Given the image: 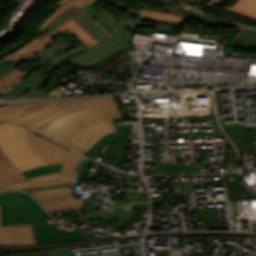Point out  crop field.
I'll use <instances>...</instances> for the list:
<instances>
[{"instance_id": "8a807250", "label": "crop field", "mask_w": 256, "mask_h": 256, "mask_svg": "<svg viewBox=\"0 0 256 256\" xmlns=\"http://www.w3.org/2000/svg\"><path fill=\"white\" fill-rule=\"evenodd\" d=\"M29 140L47 164L64 163L61 172L29 178V181L4 184L23 190L47 185L73 183L74 169L82 155L64 148L38 134L27 130Z\"/></svg>"}, {"instance_id": "ac0d7876", "label": "crop field", "mask_w": 256, "mask_h": 256, "mask_svg": "<svg viewBox=\"0 0 256 256\" xmlns=\"http://www.w3.org/2000/svg\"><path fill=\"white\" fill-rule=\"evenodd\" d=\"M0 146L21 172L46 165L30 144L26 129L21 126L0 123Z\"/></svg>"}, {"instance_id": "34b2d1b8", "label": "crop field", "mask_w": 256, "mask_h": 256, "mask_svg": "<svg viewBox=\"0 0 256 256\" xmlns=\"http://www.w3.org/2000/svg\"><path fill=\"white\" fill-rule=\"evenodd\" d=\"M23 192L0 193V196L21 195ZM2 204V226L46 222L50 216L35 199L0 201Z\"/></svg>"}, {"instance_id": "412701ff", "label": "crop field", "mask_w": 256, "mask_h": 256, "mask_svg": "<svg viewBox=\"0 0 256 256\" xmlns=\"http://www.w3.org/2000/svg\"><path fill=\"white\" fill-rule=\"evenodd\" d=\"M56 106L59 109V113L33 125L28 128L49 137L77 152L80 153V150L62 142L51 134L59 130L64 125L80 118L86 116L82 109L87 108L86 104L82 99L79 100H66V101H55Z\"/></svg>"}, {"instance_id": "f4fd0767", "label": "crop field", "mask_w": 256, "mask_h": 256, "mask_svg": "<svg viewBox=\"0 0 256 256\" xmlns=\"http://www.w3.org/2000/svg\"><path fill=\"white\" fill-rule=\"evenodd\" d=\"M89 108L84 109L88 116L83 117L52 134L65 141L78 129L94 122L95 124L113 117L122 116L113 97L83 99Z\"/></svg>"}, {"instance_id": "dd49c442", "label": "crop field", "mask_w": 256, "mask_h": 256, "mask_svg": "<svg viewBox=\"0 0 256 256\" xmlns=\"http://www.w3.org/2000/svg\"><path fill=\"white\" fill-rule=\"evenodd\" d=\"M70 18L79 23L97 40L98 43L110 39V37L92 20L94 19L93 17L75 5L54 18L38 35V37L41 39L46 37L56 27Z\"/></svg>"}, {"instance_id": "e52e79f7", "label": "crop field", "mask_w": 256, "mask_h": 256, "mask_svg": "<svg viewBox=\"0 0 256 256\" xmlns=\"http://www.w3.org/2000/svg\"><path fill=\"white\" fill-rule=\"evenodd\" d=\"M48 212L83 209L84 200L74 199L72 187L30 192Z\"/></svg>"}, {"instance_id": "d8731c3e", "label": "crop field", "mask_w": 256, "mask_h": 256, "mask_svg": "<svg viewBox=\"0 0 256 256\" xmlns=\"http://www.w3.org/2000/svg\"><path fill=\"white\" fill-rule=\"evenodd\" d=\"M125 48H129V41L127 35L116 37L92 46L89 48V51L66 63L91 67L93 64L99 62L103 58Z\"/></svg>"}, {"instance_id": "5a996713", "label": "crop field", "mask_w": 256, "mask_h": 256, "mask_svg": "<svg viewBox=\"0 0 256 256\" xmlns=\"http://www.w3.org/2000/svg\"><path fill=\"white\" fill-rule=\"evenodd\" d=\"M127 118H138V116H127L109 119L103 121L97 125L94 123L78 130L65 142L81 149V154L88 150L96 141H98L103 135L108 132L115 131V127L112 121L127 119Z\"/></svg>"}, {"instance_id": "3316defc", "label": "crop field", "mask_w": 256, "mask_h": 256, "mask_svg": "<svg viewBox=\"0 0 256 256\" xmlns=\"http://www.w3.org/2000/svg\"><path fill=\"white\" fill-rule=\"evenodd\" d=\"M54 109H56L54 101L1 106L0 120L19 124ZM22 114H25V117H22Z\"/></svg>"}, {"instance_id": "28ad6ade", "label": "crop field", "mask_w": 256, "mask_h": 256, "mask_svg": "<svg viewBox=\"0 0 256 256\" xmlns=\"http://www.w3.org/2000/svg\"><path fill=\"white\" fill-rule=\"evenodd\" d=\"M40 243H62L70 241L87 240L88 237L79 232L80 229L56 231L55 224H34ZM90 239V238H89Z\"/></svg>"}, {"instance_id": "d1516ede", "label": "crop field", "mask_w": 256, "mask_h": 256, "mask_svg": "<svg viewBox=\"0 0 256 256\" xmlns=\"http://www.w3.org/2000/svg\"><path fill=\"white\" fill-rule=\"evenodd\" d=\"M0 244L36 245L31 225L0 227Z\"/></svg>"}, {"instance_id": "22f410ed", "label": "crop field", "mask_w": 256, "mask_h": 256, "mask_svg": "<svg viewBox=\"0 0 256 256\" xmlns=\"http://www.w3.org/2000/svg\"><path fill=\"white\" fill-rule=\"evenodd\" d=\"M44 78V77H43ZM43 78L39 76H33L29 79L22 80L17 84L13 89L7 92L5 95L1 96L2 98H18L22 96L31 95V97H45L43 91L36 92L37 85L42 82Z\"/></svg>"}, {"instance_id": "cbeb9de0", "label": "crop field", "mask_w": 256, "mask_h": 256, "mask_svg": "<svg viewBox=\"0 0 256 256\" xmlns=\"http://www.w3.org/2000/svg\"><path fill=\"white\" fill-rule=\"evenodd\" d=\"M65 29L67 28L62 24L43 40L35 38L23 47H21L20 49H18L17 51H15L14 53L7 56L6 58L26 59L29 55L49 45L52 42L51 37Z\"/></svg>"}, {"instance_id": "5142ce71", "label": "crop field", "mask_w": 256, "mask_h": 256, "mask_svg": "<svg viewBox=\"0 0 256 256\" xmlns=\"http://www.w3.org/2000/svg\"><path fill=\"white\" fill-rule=\"evenodd\" d=\"M0 184L27 180L0 148Z\"/></svg>"}, {"instance_id": "d9b57169", "label": "crop field", "mask_w": 256, "mask_h": 256, "mask_svg": "<svg viewBox=\"0 0 256 256\" xmlns=\"http://www.w3.org/2000/svg\"><path fill=\"white\" fill-rule=\"evenodd\" d=\"M140 18L153 20V21H159V22H165V23H171V24H176V25L185 23L188 20L182 16L168 14V13H162V12H156V11H150V10H144V9H140Z\"/></svg>"}, {"instance_id": "733c2abd", "label": "crop field", "mask_w": 256, "mask_h": 256, "mask_svg": "<svg viewBox=\"0 0 256 256\" xmlns=\"http://www.w3.org/2000/svg\"><path fill=\"white\" fill-rule=\"evenodd\" d=\"M117 129V145L107 162V165L112 158L116 159L117 162H122L125 155V150L127 146V137H128V125H119L115 126Z\"/></svg>"}, {"instance_id": "4a817a6b", "label": "crop field", "mask_w": 256, "mask_h": 256, "mask_svg": "<svg viewBox=\"0 0 256 256\" xmlns=\"http://www.w3.org/2000/svg\"><path fill=\"white\" fill-rule=\"evenodd\" d=\"M113 37L124 34L123 31L115 24L114 20L99 12L91 4L84 7Z\"/></svg>"}, {"instance_id": "bc2a9ffb", "label": "crop field", "mask_w": 256, "mask_h": 256, "mask_svg": "<svg viewBox=\"0 0 256 256\" xmlns=\"http://www.w3.org/2000/svg\"><path fill=\"white\" fill-rule=\"evenodd\" d=\"M98 0H60L58 3H56L54 6H52L50 9H52L53 11H55L46 21L45 23L42 25L39 33L42 31V29L58 14H60L61 12H63L65 9H67L68 7L72 6V5H76L79 8L83 7L89 3H94L97 2ZM38 33V34H39Z\"/></svg>"}, {"instance_id": "214f88e0", "label": "crop field", "mask_w": 256, "mask_h": 256, "mask_svg": "<svg viewBox=\"0 0 256 256\" xmlns=\"http://www.w3.org/2000/svg\"><path fill=\"white\" fill-rule=\"evenodd\" d=\"M32 67H30V68H32ZM30 68H28L27 70H29ZM27 70H25L23 72L14 70L10 74H8L4 78H2L0 80V96L3 95L4 93H6L8 90H10L12 87H14L24 77L28 76L29 74L26 72Z\"/></svg>"}, {"instance_id": "92a150f3", "label": "crop field", "mask_w": 256, "mask_h": 256, "mask_svg": "<svg viewBox=\"0 0 256 256\" xmlns=\"http://www.w3.org/2000/svg\"><path fill=\"white\" fill-rule=\"evenodd\" d=\"M63 24L76 36H78L88 47L97 44L96 40L72 19Z\"/></svg>"}, {"instance_id": "dafd665d", "label": "crop field", "mask_w": 256, "mask_h": 256, "mask_svg": "<svg viewBox=\"0 0 256 256\" xmlns=\"http://www.w3.org/2000/svg\"><path fill=\"white\" fill-rule=\"evenodd\" d=\"M229 9L256 19V0H239L233 7Z\"/></svg>"}, {"instance_id": "00972430", "label": "crop field", "mask_w": 256, "mask_h": 256, "mask_svg": "<svg viewBox=\"0 0 256 256\" xmlns=\"http://www.w3.org/2000/svg\"><path fill=\"white\" fill-rule=\"evenodd\" d=\"M107 141L116 143V131L103 136L84 154L94 158Z\"/></svg>"}, {"instance_id": "a9b5d70f", "label": "crop field", "mask_w": 256, "mask_h": 256, "mask_svg": "<svg viewBox=\"0 0 256 256\" xmlns=\"http://www.w3.org/2000/svg\"><path fill=\"white\" fill-rule=\"evenodd\" d=\"M165 171L144 170V173H178V170L199 171V166L165 164Z\"/></svg>"}, {"instance_id": "4177f3b9", "label": "crop field", "mask_w": 256, "mask_h": 256, "mask_svg": "<svg viewBox=\"0 0 256 256\" xmlns=\"http://www.w3.org/2000/svg\"><path fill=\"white\" fill-rule=\"evenodd\" d=\"M62 165L63 164L46 165L40 168L25 171L23 172V174L25 175L26 178H28V177H33V176L42 175L46 173L57 172L61 170Z\"/></svg>"}, {"instance_id": "730fd06b", "label": "crop field", "mask_w": 256, "mask_h": 256, "mask_svg": "<svg viewBox=\"0 0 256 256\" xmlns=\"http://www.w3.org/2000/svg\"><path fill=\"white\" fill-rule=\"evenodd\" d=\"M224 127L228 130L229 134L237 142V144L240 146L242 150L243 140H244L247 127H243V126H224Z\"/></svg>"}, {"instance_id": "eef30255", "label": "crop field", "mask_w": 256, "mask_h": 256, "mask_svg": "<svg viewBox=\"0 0 256 256\" xmlns=\"http://www.w3.org/2000/svg\"><path fill=\"white\" fill-rule=\"evenodd\" d=\"M227 228V224H217L215 209H207V229Z\"/></svg>"}, {"instance_id": "ae1a2a85", "label": "crop field", "mask_w": 256, "mask_h": 256, "mask_svg": "<svg viewBox=\"0 0 256 256\" xmlns=\"http://www.w3.org/2000/svg\"><path fill=\"white\" fill-rule=\"evenodd\" d=\"M40 256H72L70 247L39 251Z\"/></svg>"}, {"instance_id": "d3111659", "label": "crop field", "mask_w": 256, "mask_h": 256, "mask_svg": "<svg viewBox=\"0 0 256 256\" xmlns=\"http://www.w3.org/2000/svg\"><path fill=\"white\" fill-rule=\"evenodd\" d=\"M239 41H241L243 43H239ZM232 47L243 50V51H247V52H251L253 50L256 51V44L249 43V42H246V41H242V40H239V39L234 40V42L232 44Z\"/></svg>"}, {"instance_id": "750c4746", "label": "crop field", "mask_w": 256, "mask_h": 256, "mask_svg": "<svg viewBox=\"0 0 256 256\" xmlns=\"http://www.w3.org/2000/svg\"><path fill=\"white\" fill-rule=\"evenodd\" d=\"M237 38L256 43V31L242 28L240 33L237 35Z\"/></svg>"}, {"instance_id": "bd1437ed", "label": "crop field", "mask_w": 256, "mask_h": 256, "mask_svg": "<svg viewBox=\"0 0 256 256\" xmlns=\"http://www.w3.org/2000/svg\"><path fill=\"white\" fill-rule=\"evenodd\" d=\"M200 20L203 21V22L216 24V25H234L233 22L226 21V20L220 19V18H215V17H212V16H206V15H203Z\"/></svg>"}, {"instance_id": "1d83c4d3", "label": "crop field", "mask_w": 256, "mask_h": 256, "mask_svg": "<svg viewBox=\"0 0 256 256\" xmlns=\"http://www.w3.org/2000/svg\"><path fill=\"white\" fill-rule=\"evenodd\" d=\"M56 112H58V109H56V110H54V111H51V112H49V113H46V114H44V115L38 116V117H36V118H33V119H31V120H28V121H26V122H23V123H21V124H19V125L28 127V126H30V125H32V124H34V123H36V122H38V121H40V120H42V119L48 117V116H50V115H52V114H54V113H56Z\"/></svg>"}, {"instance_id": "120bbe31", "label": "crop field", "mask_w": 256, "mask_h": 256, "mask_svg": "<svg viewBox=\"0 0 256 256\" xmlns=\"http://www.w3.org/2000/svg\"><path fill=\"white\" fill-rule=\"evenodd\" d=\"M22 61H18V60H15L13 63H11L8 67L0 70V79L2 77H4L5 75H7L8 73H10L11 71H13V67L16 66L17 64L21 63Z\"/></svg>"}, {"instance_id": "d32e631a", "label": "crop field", "mask_w": 256, "mask_h": 256, "mask_svg": "<svg viewBox=\"0 0 256 256\" xmlns=\"http://www.w3.org/2000/svg\"><path fill=\"white\" fill-rule=\"evenodd\" d=\"M89 163V160L87 159H84L82 165L80 166V169L78 171V180H77V183H81V180H82V176H83V173H84V169L86 167V165Z\"/></svg>"}, {"instance_id": "5866460e", "label": "crop field", "mask_w": 256, "mask_h": 256, "mask_svg": "<svg viewBox=\"0 0 256 256\" xmlns=\"http://www.w3.org/2000/svg\"><path fill=\"white\" fill-rule=\"evenodd\" d=\"M26 198H33V197H31L29 195L10 196V197H0V200L26 199Z\"/></svg>"}, {"instance_id": "028f5c9d", "label": "crop field", "mask_w": 256, "mask_h": 256, "mask_svg": "<svg viewBox=\"0 0 256 256\" xmlns=\"http://www.w3.org/2000/svg\"><path fill=\"white\" fill-rule=\"evenodd\" d=\"M49 97L65 96L58 88L47 93Z\"/></svg>"}, {"instance_id": "e1f06a70", "label": "crop field", "mask_w": 256, "mask_h": 256, "mask_svg": "<svg viewBox=\"0 0 256 256\" xmlns=\"http://www.w3.org/2000/svg\"><path fill=\"white\" fill-rule=\"evenodd\" d=\"M14 60H6L5 62H3L1 65H0V69L6 67L7 65H9L11 62H13Z\"/></svg>"}, {"instance_id": "0bd39190", "label": "crop field", "mask_w": 256, "mask_h": 256, "mask_svg": "<svg viewBox=\"0 0 256 256\" xmlns=\"http://www.w3.org/2000/svg\"><path fill=\"white\" fill-rule=\"evenodd\" d=\"M236 24H237L238 26H242V27H246V28H251V29H256V26H248V25H246V24L238 23V22H236Z\"/></svg>"}, {"instance_id": "b80d0937", "label": "crop field", "mask_w": 256, "mask_h": 256, "mask_svg": "<svg viewBox=\"0 0 256 256\" xmlns=\"http://www.w3.org/2000/svg\"><path fill=\"white\" fill-rule=\"evenodd\" d=\"M16 190L14 189H9V188H0V192H15Z\"/></svg>"}, {"instance_id": "c035e120", "label": "crop field", "mask_w": 256, "mask_h": 256, "mask_svg": "<svg viewBox=\"0 0 256 256\" xmlns=\"http://www.w3.org/2000/svg\"><path fill=\"white\" fill-rule=\"evenodd\" d=\"M11 256H39L38 254H19V255H11Z\"/></svg>"}, {"instance_id": "c21b1889", "label": "crop field", "mask_w": 256, "mask_h": 256, "mask_svg": "<svg viewBox=\"0 0 256 256\" xmlns=\"http://www.w3.org/2000/svg\"><path fill=\"white\" fill-rule=\"evenodd\" d=\"M111 38H113L97 21H95Z\"/></svg>"}, {"instance_id": "03da06ac", "label": "crop field", "mask_w": 256, "mask_h": 256, "mask_svg": "<svg viewBox=\"0 0 256 256\" xmlns=\"http://www.w3.org/2000/svg\"><path fill=\"white\" fill-rule=\"evenodd\" d=\"M179 173H199V172L179 171Z\"/></svg>"}, {"instance_id": "b54c1fbb", "label": "crop field", "mask_w": 256, "mask_h": 256, "mask_svg": "<svg viewBox=\"0 0 256 256\" xmlns=\"http://www.w3.org/2000/svg\"><path fill=\"white\" fill-rule=\"evenodd\" d=\"M0 226H1V205H0Z\"/></svg>"}, {"instance_id": "5d738f31", "label": "crop field", "mask_w": 256, "mask_h": 256, "mask_svg": "<svg viewBox=\"0 0 256 256\" xmlns=\"http://www.w3.org/2000/svg\"><path fill=\"white\" fill-rule=\"evenodd\" d=\"M163 166H156V169L161 170Z\"/></svg>"}, {"instance_id": "d23c7cc5", "label": "crop field", "mask_w": 256, "mask_h": 256, "mask_svg": "<svg viewBox=\"0 0 256 256\" xmlns=\"http://www.w3.org/2000/svg\"><path fill=\"white\" fill-rule=\"evenodd\" d=\"M3 61H5V59L1 60V61H0V64H1Z\"/></svg>"}, {"instance_id": "425ffa30", "label": "crop field", "mask_w": 256, "mask_h": 256, "mask_svg": "<svg viewBox=\"0 0 256 256\" xmlns=\"http://www.w3.org/2000/svg\"><path fill=\"white\" fill-rule=\"evenodd\" d=\"M189 1H194L195 2L196 0H189Z\"/></svg>"}]
</instances>
